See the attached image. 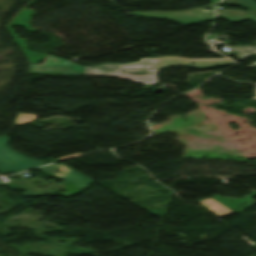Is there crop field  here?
<instances>
[{"label":"crop field","instance_id":"8a807250","mask_svg":"<svg viewBox=\"0 0 256 256\" xmlns=\"http://www.w3.org/2000/svg\"><path fill=\"white\" fill-rule=\"evenodd\" d=\"M157 60V62H152ZM158 58L141 59L133 64H106L103 66L83 67L68 60L49 55L43 65H31V74L61 75H103L116 76L127 80L144 83H156Z\"/></svg>","mask_w":256,"mask_h":256},{"label":"crop field","instance_id":"ac0d7876","mask_svg":"<svg viewBox=\"0 0 256 256\" xmlns=\"http://www.w3.org/2000/svg\"><path fill=\"white\" fill-rule=\"evenodd\" d=\"M40 170L51 174L57 178H63L65 181V184L60 185L57 184L53 187H58L61 186V188L59 189H64L67 193L65 194H56V195H60L64 198H68L72 195L75 194H79L82 191H84L85 189H87L91 184H93L95 181L81 175L80 173L76 172L75 170L61 165V164H53L44 168H41ZM60 170L61 173H57L56 171ZM41 179H36V180H32L29 181L28 179L26 180H12L11 182L5 184L8 187H10L11 189L15 190V189H27L28 191L26 193H23L26 196H39V195H45V194H54L52 193L55 190H59V189H54L51 190V188H46V189H42L39 190L34 186V181H39Z\"/></svg>","mask_w":256,"mask_h":256},{"label":"crop field","instance_id":"34b2d1b8","mask_svg":"<svg viewBox=\"0 0 256 256\" xmlns=\"http://www.w3.org/2000/svg\"><path fill=\"white\" fill-rule=\"evenodd\" d=\"M213 3L208 5L210 11H203L199 9H192L188 11H174V12H134L132 14L154 17V18H164L175 20L184 24L199 22L203 20H214V5L219 0H211Z\"/></svg>","mask_w":256,"mask_h":256},{"label":"crop field","instance_id":"412701ff","mask_svg":"<svg viewBox=\"0 0 256 256\" xmlns=\"http://www.w3.org/2000/svg\"><path fill=\"white\" fill-rule=\"evenodd\" d=\"M10 137H0V171H18L41 165L40 161L24 157L7 146Z\"/></svg>","mask_w":256,"mask_h":256},{"label":"crop field","instance_id":"f4fd0767","mask_svg":"<svg viewBox=\"0 0 256 256\" xmlns=\"http://www.w3.org/2000/svg\"><path fill=\"white\" fill-rule=\"evenodd\" d=\"M190 62H194V65H190ZM233 64L232 61L228 59H183L179 57H164L159 58L158 69H164L172 66H191L198 68H210L213 66H225Z\"/></svg>","mask_w":256,"mask_h":256},{"label":"crop field","instance_id":"dd49c442","mask_svg":"<svg viewBox=\"0 0 256 256\" xmlns=\"http://www.w3.org/2000/svg\"><path fill=\"white\" fill-rule=\"evenodd\" d=\"M221 3L226 4V5L244 6V7L248 8L250 11L242 12V11L219 10L217 12L218 16H220L230 22H233V23H237V22H241V21H245V20H252V21L256 22V11L254 9H252L250 6L243 4V3L231 1V0H224Z\"/></svg>","mask_w":256,"mask_h":256},{"label":"crop field","instance_id":"e52e79f7","mask_svg":"<svg viewBox=\"0 0 256 256\" xmlns=\"http://www.w3.org/2000/svg\"><path fill=\"white\" fill-rule=\"evenodd\" d=\"M198 203H200L201 205L205 206L207 209H209L210 211L214 212L219 217H222L224 215L233 213L232 211H230L229 209H227V208L223 207L222 205L218 204L217 202H215L211 198L203 200V201H200Z\"/></svg>","mask_w":256,"mask_h":256},{"label":"crop field","instance_id":"d8731c3e","mask_svg":"<svg viewBox=\"0 0 256 256\" xmlns=\"http://www.w3.org/2000/svg\"><path fill=\"white\" fill-rule=\"evenodd\" d=\"M233 51H237L239 53L238 54L239 58L242 59V60H244V59H246V58L256 54V48L251 47V46H249V47H241V46H239V47L233 48ZM232 52H230V54L227 53V55L228 56L232 55ZM255 65H256V63L251 65V66H249V67H247V69H249V68H251V67H253Z\"/></svg>","mask_w":256,"mask_h":256},{"label":"crop field","instance_id":"5a996713","mask_svg":"<svg viewBox=\"0 0 256 256\" xmlns=\"http://www.w3.org/2000/svg\"><path fill=\"white\" fill-rule=\"evenodd\" d=\"M38 116H33V115H28V114H22V113H18L16 121H15V125L13 127V129L20 125V124H25L27 122H30L32 120H34L35 118H37ZM13 129L11 130V132L13 131Z\"/></svg>","mask_w":256,"mask_h":256},{"label":"crop field","instance_id":"3316defc","mask_svg":"<svg viewBox=\"0 0 256 256\" xmlns=\"http://www.w3.org/2000/svg\"><path fill=\"white\" fill-rule=\"evenodd\" d=\"M238 1L247 3L256 9V2H254L253 0H238Z\"/></svg>","mask_w":256,"mask_h":256},{"label":"crop field","instance_id":"28ad6ade","mask_svg":"<svg viewBox=\"0 0 256 256\" xmlns=\"http://www.w3.org/2000/svg\"><path fill=\"white\" fill-rule=\"evenodd\" d=\"M77 155H81V154H74L72 156L64 157V158H61V159L71 158V157H74V156H77ZM61 159H59V160H61Z\"/></svg>","mask_w":256,"mask_h":256},{"label":"crop field","instance_id":"d1516ede","mask_svg":"<svg viewBox=\"0 0 256 256\" xmlns=\"http://www.w3.org/2000/svg\"><path fill=\"white\" fill-rule=\"evenodd\" d=\"M255 93H256V91H255Z\"/></svg>","mask_w":256,"mask_h":256}]
</instances>
